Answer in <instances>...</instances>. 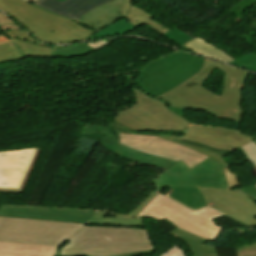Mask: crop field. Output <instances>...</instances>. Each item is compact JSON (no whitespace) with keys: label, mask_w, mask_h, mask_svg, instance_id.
Instances as JSON below:
<instances>
[{"label":"crop field","mask_w":256,"mask_h":256,"mask_svg":"<svg viewBox=\"0 0 256 256\" xmlns=\"http://www.w3.org/2000/svg\"><path fill=\"white\" fill-rule=\"evenodd\" d=\"M134 94L136 104L120 110L117 122L110 126L120 133V144L138 151L176 161L180 159L190 168L210 157L223 169L229 165L222 157L256 138L235 131L191 125L135 86ZM148 130L182 132L186 136L129 133Z\"/></svg>","instance_id":"1"},{"label":"crop field","mask_w":256,"mask_h":256,"mask_svg":"<svg viewBox=\"0 0 256 256\" xmlns=\"http://www.w3.org/2000/svg\"><path fill=\"white\" fill-rule=\"evenodd\" d=\"M0 240L59 246L54 256H145L146 228L99 226L0 216Z\"/></svg>","instance_id":"2"},{"label":"crop field","mask_w":256,"mask_h":256,"mask_svg":"<svg viewBox=\"0 0 256 256\" xmlns=\"http://www.w3.org/2000/svg\"><path fill=\"white\" fill-rule=\"evenodd\" d=\"M220 64L205 60L201 72L157 99L163 100L170 107L202 111L240 123L241 89L249 73ZM216 67L225 73L220 96L202 86Z\"/></svg>","instance_id":"3"},{"label":"crop field","mask_w":256,"mask_h":256,"mask_svg":"<svg viewBox=\"0 0 256 256\" xmlns=\"http://www.w3.org/2000/svg\"><path fill=\"white\" fill-rule=\"evenodd\" d=\"M0 9L13 16L35 37L51 43L83 41L94 31L55 16L23 0H0Z\"/></svg>","instance_id":"4"},{"label":"crop field","mask_w":256,"mask_h":256,"mask_svg":"<svg viewBox=\"0 0 256 256\" xmlns=\"http://www.w3.org/2000/svg\"><path fill=\"white\" fill-rule=\"evenodd\" d=\"M204 60L181 51L161 57L140 70L135 85L156 98L201 71Z\"/></svg>","instance_id":"5"},{"label":"crop field","mask_w":256,"mask_h":256,"mask_svg":"<svg viewBox=\"0 0 256 256\" xmlns=\"http://www.w3.org/2000/svg\"><path fill=\"white\" fill-rule=\"evenodd\" d=\"M138 216L158 221L166 220L180 229L212 241H215L224 229L217 226L214 219L225 217L210 208L192 211L160 193Z\"/></svg>","instance_id":"6"},{"label":"crop field","mask_w":256,"mask_h":256,"mask_svg":"<svg viewBox=\"0 0 256 256\" xmlns=\"http://www.w3.org/2000/svg\"><path fill=\"white\" fill-rule=\"evenodd\" d=\"M153 181L157 186L229 189L222 169L210 158L191 169L179 161Z\"/></svg>","instance_id":"7"},{"label":"crop field","mask_w":256,"mask_h":256,"mask_svg":"<svg viewBox=\"0 0 256 256\" xmlns=\"http://www.w3.org/2000/svg\"><path fill=\"white\" fill-rule=\"evenodd\" d=\"M207 205L248 226H256V202L233 190L199 188Z\"/></svg>","instance_id":"8"},{"label":"crop field","mask_w":256,"mask_h":256,"mask_svg":"<svg viewBox=\"0 0 256 256\" xmlns=\"http://www.w3.org/2000/svg\"><path fill=\"white\" fill-rule=\"evenodd\" d=\"M96 210L46 208L1 204L0 215L45 219L64 222L87 223Z\"/></svg>","instance_id":"9"},{"label":"crop field","mask_w":256,"mask_h":256,"mask_svg":"<svg viewBox=\"0 0 256 256\" xmlns=\"http://www.w3.org/2000/svg\"><path fill=\"white\" fill-rule=\"evenodd\" d=\"M35 149L0 151V187L18 188Z\"/></svg>","instance_id":"10"},{"label":"crop field","mask_w":256,"mask_h":256,"mask_svg":"<svg viewBox=\"0 0 256 256\" xmlns=\"http://www.w3.org/2000/svg\"><path fill=\"white\" fill-rule=\"evenodd\" d=\"M110 1L112 0H65L61 3L56 0H35L31 3L76 21L91 9Z\"/></svg>","instance_id":"11"},{"label":"crop field","mask_w":256,"mask_h":256,"mask_svg":"<svg viewBox=\"0 0 256 256\" xmlns=\"http://www.w3.org/2000/svg\"><path fill=\"white\" fill-rule=\"evenodd\" d=\"M163 187H157L156 191L149 195L135 210L128 216L97 210L87 224L100 225H121V226H137L145 227L143 219L136 216L161 190ZM159 189V190H158Z\"/></svg>","instance_id":"12"},{"label":"crop field","mask_w":256,"mask_h":256,"mask_svg":"<svg viewBox=\"0 0 256 256\" xmlns=\"http://www.w3.org/2000/svg\"><path fill=\"white\" fill-rule=\"evenodd\" d=\"M124 0H114L111 3L104 4L83 16L76 21L95 31L121 19V9Z\"/></svg>","instance_id":"13"},{"label":"crop field","mask_w":256,"mask_h":256,"mask_svg":"<svg viewBox=\"0 0 256 256\" xmlns=\"http://www.w3.org/2000/svg\"><path fill=\"white\" fill-rule=\"evenodd\" d=\"M4 34L17 44L25 57H51V45L39 43L25 32L8 31L4 32Z\"/></svg>","instance_id":"14"},{"label":"crop field","mask_w":256,"mask_h":256,"mask_svg":"<svg viewBox=\"0 0 256 256\" xmlns=\"http://www.w3.org/2000/svg\"><path fill=\"white\" fill-rule=\"evenodd\" d=\"M56 248L0 241V256H53Z\"/></svg>","instance_id":"15"},{"label":"crop field","mask_w":256,"mask_h":256,"mask_svg":"<svg viewBox=\"0 0 256 256\" xmlns=\"http://www.w3.org/2000/svg\"><path fill=\"white\" fill-rule=\"evenodd\" d=\"M167 196L193 210L206 206L205 199L198 188H172Z\"/></svg>","instance_id":"16"},{"label":"crop field","mask_w":256,"mask_h":256,"mask_svg":"<svg viewBox=\"0 0 256 256\" xmlns=\"http://www.w3.org/2000/svg\"><path fill=\"white\" fill-rule=\"evenodd\" d=\"M170 233L185 241L188 244V246L192 249L193 256H219L216 247L203 245V243L206 240L196 235L182 231L178 228H175Z\"/></svg>","instance_id":"17"},{"label":"crop field","mask_w":256,"mask_h":256,"mask_svg":"<svg viewBox=\"0 0 256 256\" xmlns=\"http://www.w3.org/2000/svg\"><path fill=\"white\" fill-rule=\"evenodd\" d=\"M184 46L188 47L189 49H191L192 51L198 54L208 56V57L220 60L222 62L230 63L235 60L229 55L225 54L221 50L217 49L216 47L203 41L200 38H196L195 40L187 43Z\"/></svg>","instance_id":"18"},{"label":"crop field","mask_w":256,"mask_h":256,"mask_svg":"<svg viewBox=\"0 0 256 256\" xmlns=\"http://www.w3.org/2000/svg\"><path fill=\"white\" fill-rule=\"evenodd\" d=\"M153 17L154 16L133 5L131 11L128 13L127 16H125V18L131 21L136 27H139L142 24L146 23L147 25L151 26L152 28L163 34L169 31V29L165 28L160 23L152 20Z\"/></svg>","instance_id":"19"},{"label":"crop field","mask_w":256,"mask_h":256,"mask_svg":"<svg viewBox=\"0 0 256 256\" xmlns=\"http://www.w3.org/2000/svg\"><path fill=\"white\" fill-rule=\"evenodd\" d=\"M134 28H135V26L132 23H130L125 18H123V19L117 21V23L96 33L89 39H97V38H101V37H112V36H117V35H123L127 32H130Z\"/></svg>","instance_id":"20"},{"label":"crop field","mask_w":256,"mask_h":256,"mask_svg":"<svg viewBox=\"0 0 256 256\" xmlns=\"http://www.w3.org/2000/svg\"><path fill=\"white\" fill-rule=\"evenodd\" d=\"M93 51L86 43L74 46H52V57H74Z\"/></svg>","instance_id":"21"},{"label":"crop field","mask_w":256,"mask_h":256,"mask_svg":"<svg viewBox=\"0 0 256 256\" xmlns=\"http://www.w3.org/2000/svg\"><path fill=\"white\" fill-rule=\"evenodd\" d=\"M24 58L14 43L0 45V63Z\"/></svg>","instance_id":"22"},{"label":"crop field","mask_w":256,"mask_h":256,"mask_svg":"<svg viewBox=\"0 0 256 256\" xmlns=\"http://www.w3.org/2000/svg\"><path fill=\"white\" fill-rule=\"evenodd\" d=\"M40 151H41V148L36 149L33 160L31 162V164H30V166H29V168H28V170H27L19 188L18 189L0 188V192H4V193H22L24 191V189L26 187V184L29 180V177H30L35 165H36V162L38 160Z\"/></svg>","instance_id":"23"},{"label":"crop field","mask_w":256,"mask_h":256,"mask_svg":"<svg viewBox=\"0 0 256 256\" xmlns=\"http://www.w3.org/2000/svg\"><path fill=\"white\" fill-rule=\"evenodd\" d=\"M231 64L256 72V52L240 57Z\"/></svg>","instance_id":"24"},{"label":"crop field","mask_w":256,"mask_h":256,"mask_svg":"<svg viewBox=\"0 0 256 256\" xmlns=\"http://www.w3.org/2000/svg\"><path fill=\"white\" fill-rule=\"evenodd\" d=\"M241 150L245 154L246 158L248 159L251 167L256 165V139L247 143Z\"/></svg>","instance_id":"25"},{"label":"crop field","mask_w":256,"mask_h":256,"mask_svg":"<svg viewBox=\"0 0 256 256\" xmlns=\"http://www.w3.org/2000/svg\"><path fill=\"white\" fill-rule=\"evenodd\" d=\"M167 37H169L171 40H173L175 43H178L180 45L184 44L185 42L191 40L192 38L183 33L182 31L178 30L177 28L171 29L168 33L165 34Z\"/></svg>","instance_id":"26"},{"label":"crop field","mask_w":256,"mask_h":256,"mask_svg":"<svg viewBox=\"0 0 256 256\" xmlns=\"http://www.w3.org/2000/svg\"><path fill=\"white\" fill-rule=\"evenodd\" d=\"M0 29L2 32L7 30H22L16 23L0 13ZM23 31V30H22Z\"/></svg>","instance_id":"27"},{"label":"crop field","mask_w":256,"mask_h":256,"mask_svg":"<svg viewBox=\"0 0 256 256\" xmlns=\"http://www.w3.org/2000/svg\"><path fill=\"white\" fill-rule=\"evenodd\" d=\"M227 181L229 183L230 189H235L241 187L238 176L230 172L229 167L223 170Z\"/></svg>","instance_id":"28"},{"label":"crop field","mask_w":256,"mask_h":256,"mask_svg":"<svg viewBox=\"0 0 256 256\" xmlns=\"http://www.w3.org/2000/svg\"><path fill=\"white\" fill-rule=\"evenodd\" d=\"M158 256H186L184 251L180 248L179 244H175L170 247L167 251L161 253Z\"/></svg>","instance_id":"29"},{"label":"crop field","mask_w":256,"mask_h":256,"mask_svg":"<svg viewBox=\"0 0 256 256\" xmlns=\"http://www.w3.org/2000/svg\"><path fill=\"white\" fill-rule=\"evenodd\" d=\"M235 190L251 199L256 200V184L247 187H241Z\"/></svg>","instance_id":"30"},{"label":"crop field","mask_w":256,"mask_h":256,"mask_svg":"<svg viewBox=\"0 0 256 256\" xmlns=\"http://www.w3.org/2000/svg\"><path fill=\"white\" fill-rule=\"evenodd\" d=\"M237 256H256V246L236 249Z\"/></svg>","instance_id":"31"},{"label":"crop field","mask_w":256,"mask_h":256,"mask_svg":"<svg viewBox=\"0 0 256 256\" xmlns=\"http://www.w3.org/2000/svg\"><path fill=\"white\" fill-rule=\"evenodd\" d=\"M134 0H126L125 3H124V7H123V10H122V13L123 15H126L127 12H128V9L131 5V3L133 2Z\"/></svg>","instance_id":"32"},{"label":"crop field","mask_w":256,"mask_h":256,"mask_svg":"<svg viewBox=\"0 0 256 256\" xmlns=\"http://www.w3.org/2000/svg\"><path fill=\"white\" fill-rule=\"evenodd\" d=\"M9 42L2 34L0 35V44Z\"/></svg>","instance_id":"33"},{"label":"crop field","mask_w":256,"mask_h":256,"mask_svg":"<svg viewBox=\"0 0 256 256\" xmlns=\"http://www.w3.org/2000/svg\"><path fill=\"white\" fill-rule=\"evenodd\" d=\"M253 170H254V172L256 173V166H255V167H253Z\"/></svg>","instance_id":"34"},{"label":"crop field","mask_w":256,"mask_h":256,"mask_svg":"<svg viewBox=\"0 0 256 256\" xmlns=\"http://www.w3.org/2000/svg\"><path fill=\"white\" fill-rule=\"evenodd\" d=\"M59 1L63 2L64 0H59Z\"/></svg>","instance_id":"35"},{"label":"crop field","mask_w":256,"mask_h":256,"mask_svg":"<svg viewBox=\"0 0 256 256\" xmlns=\"http://www.w3.org/2000/svg\"><path fill=\"white\" fill-rule=\"evenodd\" d=\"M256 244V243H255ZM255 244H252V245H255ZM250 246V245H249Z\"/></svg>","instance_id":"36"}]
</instances>
